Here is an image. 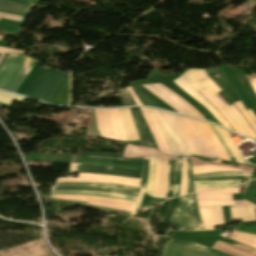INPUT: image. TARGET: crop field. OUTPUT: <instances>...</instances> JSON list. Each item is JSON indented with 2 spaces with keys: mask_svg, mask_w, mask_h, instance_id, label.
I'll list each match as a JSON object with an SVG mask.
<instances>
[{
  "mask_svg": "<svg viewBox=\"0 0 256 256\" xmlns=\"http://www.w3.org/2000/svg\"><path fill=\"white\" fill-rule=\"evenodd\" d=\"M158 112L182 139L190 153L229 160L206 122L159 110Z\"/></svg>",
  "mask_w": 256,
  "mask_h": 256,
  "instance_id": "crop-field-1",
  "label": "crop field"
},
{
  "mask_svg": "<svg viewBox=\"0 0 256 256\" xmlns=\"http://www.w3.org/2000/svg\"><path fill=\"white\" fill-rule=\"evenodd\" d=\"M34 63L23 54H9L0 71V89L14 93Z\"/></svg>",
  "mask_w": 256,
  "mask_h": 256,
  "instance_id": "crop-field-2",
  "label": "crop field"
},
{
  "mask_svg": "<svg viewBox=\"0 0 256 256\" xmlns=\"http://www.w3.org/2000/svg\"><path fill=\"white\" fill-rule=\"evenodd\" d=\"M170 222L179 226L178 230H204L196 204V194L180 197Z\"/></svg>",
  "mask_w": 256,
  "mask_h": 256,
  "instance_id": "crop-field-3",
  "label": "crop field"
},
{
  "mask_svg": "<svg viewBox=\"0 0 256 256\" xmlns=\"http://www.w3.org/2000/svg\"><path fill=\"white\" fill-rule=\"evenodd\" d=\"M161 256H231L219 251H215L201 245L168 240Z\"/></svg>",
  "mask_w": 256,
  "mask_h": 256,
  "instance_id": "crop-field-4",
  "label": "crop field"
},
{
  "mask_svg": "<svg viewBox=\"0 0 256 256\" xmlns=\"http://www.w3.org/2000/svg\"><path fill=\"white\" fill-rule=\"evenodd\" d=\"M74 164H70V172H74ZM75 171L86 172V173H98V174H108L115 176H126L141 178L142 170L131 169V168H117V167H106L100 165H89V164H79L75 165Z\"/></svg>",
  "mask_w": 256,
  "mask_h": 256,
  "instance_id": "crop-field-5",
  "label": "crop field"
},
{
  "mask_svg": "<svg viewBox=\"0 0 256 256\" xmlns=\"http://www.w3.org/2000/svg\"><path fill=\"white\" fill-rule=\"evenodd\" d=\"M55 199L89 202L92 205L111 207L132 211L134 203L117 199H105L97 197L53 195Z\"/></svg>",
  "mask_w": 256,
  "mask_h": 256,
  "instance_id": "crop-field-6",
  "label": "crop field"
},
{
  "mask_svg": "<svg viewBox=\"0 0 256 256\" xmlns=\"http://www.w3.org/2000/svg\"><path fill=\"white\" fill-rule=\"evenodd\" d=\"M70 162L142 168V161H136V160H124V159H112V158H100V157L71 155Z\"/></svg>",
  "mask_w": 256,
  "mask_h": 256,
  "instance_id": "crop-field-7",
  "label": "crop field"
},
{
  "mask_svg": "<svg viewBox=\"0 0 256 256\" xmlns=\"http://www.w3.org/2000/svg\"><path fill=\"white\" fill-rule=\"evenodd\" d=\"M139 135L140 143L143 146L156 147L153 135L140 110V108H130Z\"/></svg>",
  "mask_w": 256,
  "mask_h": 256,
  "instance_id": "crop-field-8",
  "label": "crop field"
},
{
  "mask_svg": "<svg viewBox=\"0 0 256 256\" xmlns=\"http://www.w3.org/2000/svg\"><path fill=\"white\" fill-rule=\"evenodd\" d=\"M173 82L209 110L222 126L231 129L223 117L182 76Z\"/></svg>",
  "mask_w": 256,
  "mask_h": 256,
  "instance_id": "crop-field-9",
  "label": "crop field"
},
{
  "mask_svg": "<svg viewBox=\"0 0 256 256\" xmlns=\"http://www.w3.org/2000/svg\"><path fill=\"white\" fill-rule=\"evenodd\" d=\"M202 223L206 230H214L215 226L225 225L222 207L198 208Z\"/></svg>",
  "mask_w": 256,
  "mask_h": 256,
  "instance_id": "crop-field-10",
  "label": "crop field"
},
{
  "mask_svg": "<svg viewBox=\"0 0 256 256\" xmlns=\"http://www.w3.org/2000/svg\"><path fill=\"white\" fill-rule=\"evenodd\" d=\"M192 166H199V165H215V166H226L234 169H241L242 172L252 173L253 168L247 167H233L231 165H221L217 163H210L204 162L196 159L195 157H191ZM225 167H214V166H200V167H192L193 174L195 173H202V172H210V171H241V170H234Z\"/></svg>",
  "mask_w": 256,
  "mask_h": 256,
  "instance_id": "crop-field-11",
  "label": "crop field"
},
{
  "mask_svg": "<svg viewBox=\"0 0 256 256\" xmlns=\"http://www.w3.org/2000/svg\"><path fill=\"white\" fill-rule=\"evenodd\" d=\"M200 93L213 106H215L220 111V113L224 116V118L232 126V128L235 130V132L247 137V135L244 133V131L241 129V127L237 124V122L233 119V117L230 115V113L227 111V109L218 101V99L210 92V90L208 88L200 91Z\"/></svg>",
  "mask_w": 256,
  "mask_h": 256,
  "instance_id": "crop-field-12",
  "label": "crop field"
},
{
  "mask_svg": "<svg viewBox=\"0 0 256 256\" xmlns=\"http://www.w3.org/2000/svg\"><path fill=\"white\" fill-rule=\"evenodd\" d=\"M212 248L234 256H256V250L242 244L227 245L223 242L217 241Z\"/></svg>",
  "mask_w": 256,
  "mask_h": 256,
  "instance_id": "crop-field-13",
  "label": "crop field"
},
{
  "mask_svg": "<svg viewBox=\"0 0 256 256\" xmlns=\"http://www.w3.org/2000/svg\"><path fill=\"white\" fill-rule=\"evenodd\" d=\"M126 141L138 140L129 108L118 109Z\"/></svg>",
  "mask_w": 256,
  "mask_h": 256,
  "instance_id": "crop-field-14",
  "label": "crop field"
},
{
  "mask_svg": "<svg viewBox=\"0 0 256 256\" xmlns=\"http://www.w3.org/2000/svg\"><path fill=\"white\" fill-rule=\"evenodd\" d=\"M244 201L250 205L230 207L232 219H242V221L256 220V205L246 200Z\"/></svg>",
  "mask_w": 256,
  "mask_h": 256,
  "instance_id": "crop-field-15",
  "label": "crop field"
},
{
  "mask_svg": "<svg viewBox=\"0 0 256 256\" xmlns=\"http://www.w3.org/2000/svg\"><path fill=\"white\" fill-rule=\"evenodd\" d=\"M52 190H53V187H52ZM54 190H91V191L119 193V194L134 195V196H137V194H138L135 192H129V191H123V190L106 189V188H91V187H57V188H54ZM143 194H144V192L142 190H140L136 203L140 204ZM138 207H139V205L135 204L133 210L138 209ZM137 211L138 210L133 211V213H136Z\"/></svg>",
  "mask_w": 256,
  "mask_h": 256,
  "instance_id": "crop-field-16",
  "label": "crop field"
},
{
  "mask_svg": "<svg viewBox=\"0 0 256 256\" xmlns=\"http://www.w3.org/2000/svg\"><path fill=\"white\" fill-rule=\"evenodd\" d=\"M52 194L90 195V196L105 197V198H117L122 200L133 201V202H135L137 198L134 196L108 194V193H101V192H90V191H52Z\"/></svg>",
  "mask_w": 256,
  "mask_h": 256,
  "instance_id": "crop-field-17",
  "label": "crop field"
},
{
  "mask_svg": "<svg viewBox=\"0 0 256 256\" xmlns=\"http://www.w3.org/2000/svg\"><path fill=\"white\" fill-rule=\"evenodd\" d=\"M147 111L149 112V114L151 115L154 123L156 124V126L158 127L171 155L173 156H180V152L178 151L176 145L174 144V142L172 141L171 137L169 136V134L167 133L166 129L164 128V126L158 121V119L156 118V116L153 114V112L151 111V109L146 108Z\"/></svg>",
  "mask_w": 256,
  "mask_h": 256,
  "instance_id": "crop-field-18",
  "label": "crop field"
},
{
  "mask_svg": "<svg viewBox=\"0 0 256 256\" xmlns=\"http://www.w3.org/2000/svg\"><path fill=\"white\" fill-rule=\"evenodd\" d=\"M197 91L206 88L199 80L207 78L208 75L204 70H188L182 75Z\"/></svg>",
  "mask_w": 256,
  "mask_h": 256,
  "instance_id": "crop-field-19",
  "label": "crop field"
},
{
  "mask_svg": "<svg viewBox=\"0 0 256 256\" xmlns=\"http://www.w3.org/2000/svg\"><path fill=\"white\" fill-rule=\"evenodd\" d=\"M159 151L152 148H145V147H137L133 145L127 146L124 156H133V157H146V156H157L160 155Z\"/></svg>",
  "mask_w": 256,
  "mask_h": 256,
  "instance_id": "crop-field-20",
  "label": "crop field"
},
{
  "mask_svg": "<svg viewBox=\"0 0 256 256\" xmlns=\"http://www.w3.org/2000/svg\"><path fill=\"white\" fill-rule=\"evenodd\" d=\"M57 182H104L112 184H123L139 188V183L124 182L111 179H94V178H58Z\"/></svg>",
  "mask_w": 256,
  "mask_h": 256,
  "instance_id": "crop-field-21",
  "label": "crop field"
},
{
  "mask_svg": "<svg viewBox=\"0 0 256 256\" xmlns=\"http://www.w3.org/2000/svg\"><path fill=\"white\" fill-rule=\"evenodd\" d=\"M218 130V132L220 133V135L222 136V138L224 139L226 145L228 146L229 150L231 151L232 155L234 156L236 162H239V163H244L237 147L234 145L228 131L222 129V128H219L217 126H215Z\"/></svg>",
  "mask_w": 256,
  "mask_h": 256,
  "instance_id": "crop-field-22",
  "label": "crop field"
},
{
  "mask_svg": "<svg viewBox=\"0 0 256 256\" xmlns=\"http://www.w3.org/2000/svg\"><path fill=\"white\" fill-rule=\"evenodd\" d=\"M176 169V158L168 156V183L166 197H172L174 191V179Z\"/></svg>",
  "mask_w": 256,
  "mask_h": 256,
  "instance_id": "crop-field-23",
  "label": "crop field"
},
{
  "mask_svg": "<svg viewBox=\"0 0 256 256\" xmlns=\"http://www.w3.org/2000/svg\"><path fill=\"white\" fill-rule=\"evenodd\" d=\"M55 186H92V187H107V188H116V189H123L129 191L138 192V188H132L122 185H112V184H90V183H55Z\"/></svg>",
  "mask_w": 256,
  "mask_h": 256,
  "instance_id": "crop-field-24",
  "label": "crop field"
},
{
  "mask_svg": "<svg viewBox=\"0 0 256 256\" xmlns=\"http://www.w3.org/2000/svg\"><path fill=\"white\" fill-rule=\"evenodd\" d=\"M153 111L156 113V115L159 117V119L164 124L165 128L170 133L171 137L173 138L175 144L177 145V147H178L179 151L182 153V155H184V156H191V154L189 153L187 147L182 143V141L177 137V135L171 130V128L165 123V121L158 114V112L156 110H154V109H153Z\"/></svg>",
  "mask_w": 256,
  "mask_h": 256,
  "instance_id": "crop-field-25",
  "label": "crop field"
},
{
  "mask_svg": "<svg viewBox=\"0 0 256 256\" xmlns=\"http://www.w3.org/2000/svg\"><path fill=\"white\" fill-rule=\"evenodd\" d=\"M238 181L226 182H194L195 188H226L237 184Z\"/></svg>",
  "mask_w": 256,
  "mask_h": 256,
  "instance_id": "crop-field-26",
  "label": "crop field"
},
{
  "mask_svg": "<svg viewBox=\"0 0 256 256\" xmlns=\"http://www.w3.org/2000/svg\"><path fill=\"white\" fill-rule=\"evenodd\" d=\"M166 183H167V159L166 155L162 154V177L159 190V197H165L166 192Z\"/></svg>",
  "mask_w": 256,
  "mask_h": 256,
  "instance_id": "crop-field-27",
  "label": "crop field"
},
{
  "mask_svg": "<svg viewBox=\"0 0 256 256\" xmlns=\"http://www.w3.org/2000/svg\"><path fill=\"white\" fill-rule=\"evenodd\" d=\"M154 173H155V157H150L149 176H148V181L145 189V192L149 193L150 195H152V192H153Z\"/></svg>",
  "mask_w": 256,
  "mask_h": 256,
  "instance_id": "crop-field-28",
  "label": "crop field"
},
{
  "mask_svg": "<svg viewBox=\"0 0 256 256\" xmlns=\"http://www.w3.org/2000/svg\"><path fill=\"white\" fill-rule=\"evenodd\" d=\"M202 82L218 97V99L223 103V105L229 110V112L234 116V118L238 121V123L241 125V127L243 128V130L246 132V134L248 135L249 138L253 139V137L251 136V134L249 133V131L247 130V128L244 126V124L242 123V121L239 119V117L233 112V110L225 103V101L220 97V95L218 93H216L212 87L205 81L202 80ZM254 140V139H253Z\"/></svg>",
  "mask_w": 256,
  "mask_h": 256,
  "instance_id": "crop-field-29",
  "label": "crop field"
},
{
  "mask_svg": "<svg viewBox=\"0 0 256 256\" xmlns=\"http://www.w3.org/2000/svg\"><path fill=\"white\" fill-rule=\"evenodd\" d=\"M241 201H197L198 207L237 205Z\"/></svg>",
  "mask_w": 256,
  "mask_h": 256,
  "instance_id": "crop-field-30",
  "label": "crop field"
},
{
  "mask_svg": "<svg viewBox=\"0 0 256 256\" xmlns=\"http://www.w3.org/2000/svg\"><path fill=\"white\" fill-rule=\"evenodd\" d=\"M251 177H237V176H212L193 179L194 181H226V180H236V179H250Z\"/></svg>",
  "mask_w": 256,
  "mask_h": 256,
  "instance_id": "crop-field-31",
  "label": "crop field"
},
{
  "mask_svg": "<svg viewBox=\"0 0 256 256\" xmlns=\"http://www.w3.org/2000/svg\"><path fill=\"white\" fill-rule=\"evenodd\" d=\"M187 190V176H186V157H182V178L180 196L185 195Z\"/></svg>",
  "mask_w": 256,
  "mask_h": 256,
  "instance_id": "crop-field-32",
  "label": "crop field"
},
{
  "mask_svg": "<svg viewBox=\"0 0 256 256\" xmlns=\"http://www.w3.org/2000/svg\"><path fill=\"white\" fill-rule=\"evenodd\" d=\"M160 171H161V155L156 157V175H155V186L153 196L158 195L159 183H160Z\"/></svg>",
  "mask_w": 256,
  "mask_h": 256,
  "instance_id": "crop-field-33",
  "label": "crop field"
},
{
  "mask_svg": "<svg viewBox=\"0 0 256 256\" xmlns=\"http://www.w3.org/2000/svg\"><path fill=\"white\" fill-rule=\"evenodd\" d=\"M197 200H232V194H228V195H197Z\"/></svg>",
  "mask_w": 256,
  "mask_h": 256,
  "instance_id": "crop-field-34",
  "label": "crop field"
},
{
  "mask_svg": "<svg viewBox=\"0 0 256 256\" xmlns=\"http://www.w3.org/2000/svg\"><path fill=\"white\" fill-rule=\"evenodd\" d=\"M158 86H160L161 88H163L165 91H167L168 93H170L172 96H174L176 99H178L180 102H182L183 104H185L192 112H194L199 118L204 119L199 112L193 107L191 106L188 102L184 101L183 99H181L179 96H177L175 93H173L171 90H169L168 88H166L165 86L161 85V84H157Z\"/></svg>",
  "mask_w": 256,
  "mask_h": 256,
  "instance_id": "crop-field-35",
  "label": "crop field"
},
{
  "mask_svg": "<svg viewBox=\"0 0 256 256\" xmlns=\"http://www.w3.org/2000/svg\"><path fill=\"white\" fill-rule=\"evenodd\" d=\"M78 177L112 178V179H121V180L137 181V182L140 181L134 178L114 177V176H108V175L84 174V173H78Z\"/></svg>",
  "mask_w": 256,
  "mask_h": 256,
  "instance_id": "crop-field-36",
  "label": "crop field"
},
{
  "mask_svg": "<svg viewBox=\"0 0 256 256\" xmlns=\"http://www.w3.org/2000/svg\"><path fill=\"white\" fill-rule=\"evenodd\" d=\"M180 176H181V157L177 158V170H176V179H175V192H174V196L173 197H176L179 194Z\"/></svg>",
  "mask_w": 256,
  "mask_h": 256,
  "instance_id": "crop-field-37",
  "label": "crop field"
},
{
  "mask_svg": "<svg viewBox=\"0 0 256 256\" xmlns=\"http://www.w3.org/2000/svg\"><path fill=\"white\" fill-rule=\"evenodd\" d=\"M13 99L20 101L23 98L19 97V96H16L14 94H10V93L0 91V102L11 104Z\"/></svg>",
  "mask_w": 256,
  "mask_h": 256,
  "instance_id": "crop-field-38",
  "label": "crop field"
},
{
  "mask_svg": "<svg viewBox=\"0 0 256 256\" xmlns=\"http://www.w3.org/2000/svg\"><path fill=\"white\" fill-rule=\"evenodd\" d=\"M210 175H238V176H250V174H244L240 172H210V173H202V174H195L193 175L194 178L196 177H204Z\"/></svg>",
  "mask_w": 256,
  "mask_h": 256,
  "instance_id": "crop-field-39",
  "label": "crop field"
},
{
  "mask_svg": "<svg viewBox=\"0 0 256 256\" xmlns=\"http://www.w3.org/2000/svg\"><path fill=\"white\" fill-rule=\"evenodd\" d=\"M187 169H188V191L187 194L194 192V185L192 180V171H191V163L190 157H187Z\"/></svg>",
  "mask_w": 256,
  "mask_h": 256,
  "instance_id": "crop-field-40",
  "label": "crop field"
},
{
  "mask_svg": "<svg viewBox=\"0 0 256 256\" xmlns=\"http://www.w3.org/2000/svg\"><path fill=\"white\" fill-rule=\"evenodd\" d=\"M254 226H256V224H254ZM254 226L240 224L236 228H234V230L256 234V227H254Z\"/></svg>",
  "mask_w": 256,
  "mask_h": 256,
  "instance_id": "crop-field-41",
  "label": "crop field"
},
{
  "mask_svg": "<svg viewBox=\"0 0 256 256\" xmlns=\"http://www.w3.org/2000/svg\"><path fill=\"white\" fill-rule=\"evenodd\" d=\"M123 99H124V102H125V105H136L134 100L131 98L130 94L128 93L127 89H121L119 90Z\"/></svg>",
  "mask_w": 256,
  "mask_h": 256,
  "instance_id": "crop-field-42",
  "label": "crop field"
},
{
  "mask_svg": "<svg viewBox=\"0 0 256 256\" xmlns=\"http://www.w3.org/2000/svg\"><path fill=\"white\" fill-rule=\"evenodd\" d=\"M240 188H227L218 191H212L207 193H200V194H227V193H239Z\"/></svg>",
  "mask_w": 256,
  "mask_h": 256,
  "instance_id": "crop-field-43",
  "label": "crop field"
},
{
  "mask_svg": "<svg viewBox=\"0 0 256 256\" xmlns=\"http://www.w3.org/2000/svg\"><path fill=\"white\" fill-rule=\"evenodd\" d=\"M147 158H149V157H147ZM148 161H149V159H144L143 178H142V183H141V187L143 190L145 189L147 176H148Z\"/></svg>",
  "mask_w": 256,
  "mask_h": 256,
  "instance_id": "crop-field-44",
  "label": "crop field"
},
{
  "mask_svg": "<svg viewBox=\"0 0 256 256\" xmlns=\"http://www.w3.org/2000/svg\"><path fill=\"white\" fill-rule=\"evenodd\" d=\"M151 88H153L154 90H156L158 93H160L163 97H165L168 101H170L171 103H173L175 106H177L181 111H183L186 115L192 116L190 115L185 109H183L178 103H176L175 101H173L171 98H169L167 95H165L163 92L159 91L158 89H156L155 87L149 85Z\"/></svg>",
  "mask_w": 256,
  "mask_h": 256,
  "instance_id": "crop-field-45",
  "label": "crop field"
},
{
  "mask_svg": "<svg viewBox=\"0 0 256 256\" xmlns=\"http://www.w3.org/2000/svg\"><path fill=\"white\" fill-rule=\"evenodd\" d=\"M207 124L210 126V128L212 129V131L215 133V135L217 136V138L220 140V142H221V144L223 145L224 149L226 150L228 156L230 157L231 154H230V152H229L227 146L225 145L223 139L219 136V134L217 133V131L215 130V128L213 127V125H211V124H209V123H207Z\"/></svg>",
  "mask_w": 256,
  "mask_h": 256,
  "instance_id": "crop-field-46",
  "label": "crop field"
},
{
  "mask_svg": "<svg viewBox=\"0 0 256 256\" xmlns=\"http://www.w3.org/2000/svg\"><path fill=\"white\" fill-rule=\"evenodd\" d=\"M230 239H233V240L238 241L242 244H246V245H249V246H252V247L256 248V243H253V242H250V241H247V240H244V239L232 236V235L230 236Z\"/></svg>",
  "mask_w": 256,
  "mask_h": 256,
  "instance_id": "crop-field-47",
  "label": "crop field"
},
{
  "mask_svg": "<svg viewBox=\"0 0 256 256\" xmlns=\"http://www.w3.org/2000/svg\"><path fill=\"white\" fill-rule=\"evenodd\" d=\"M0 53H2L1 56H0V60H1L5 53H23V50L0 48Z\"/></svg>",
  "mask_w": 256,
  "mask_h": 256,
  "instance_id": "crop-field-48",
  "label": "crop field"
},
{
  "mask_svg": "<svg viewBox=\"0 0 256 256\" xmlns=\"http://www.w3.org/2000/svg\"><path fill=\"white\" fill-rule=\"evenodd\" d=\"M150 199H151V196H149V195H147V194H144V197H143V199H142L140 208L145 207V206H148V205H149V202H150ZM140 208H139V209H140Z\"/></svg>",
  "mask_w": 256,
  "mask_h": 256,
  "instance_id": "crop-field-49",
  "label": "crop field"
},
{
  "mask_svg": "<svg viewBox=\"0 0 256 256\" xmlns=\"http://www.w3.org/2000/svg\"><path fill=\"white\" fill-rule=\"evenodd\" d=\"M153 86H155L156 88H158L159 90L163 91L164 93H166L167 95H169L171 98H173L175 101H177L181 106H183L184 108H186L194 117H197L196 115H194L185 105H183L182 103H180L178 100H176L174 97H172L170 94H168L167 92H165L164 90H162L160 87H158L155 84H152ZM198 118V117H197Z\"/></svg>",
  "mask_w": 256,
  "mask_h": 256,
  "instance_id": "crop-field-50",
  "label": "crop field"
},
{
  "mask_svg": "<svg viewBox=\"0 0 256 256\" xmlns=\"http://www.w3.org/2000/svg\"><path fill=\"white\" fill-rule=\"evenodd\" d=\"M250 85L252 86L253 90L256 93V78L249 80Z\"/></svg>",
  "mask_w": 256,
  "mask_h": 256,
  "instance_id": "crop-field-51",
  "label": "crop field"
},
{
  "mask_svg": "<svg viewBox=\"0 0 256 256\" xmlns=\"http://www.w3.org/2000/svg\"><path fill=\"white\" fill-rule=\"evenodd\" d=\"M232 235H235V236H238V237H241V238H244V239H247V240H250V241L256 242V239H253V238L244 237V236L236 235V234H233V233H232Z\"/></svg>",
  "mask_w": 256,
  "mask_h": 256,
  "instance_id": "crop-field-52",
  "label": "crop field"
},
{
  "mask_svg": "<svg viewBox=\"0 0 256 256\" xmlns=\"http://www.w3.org/2000/svg\"><path fill=\"white\" fill-rule=\"evenodd\" d=\"M234 233H239V234H243V235H246V236H249V237H253V238H256L255 235H251V234H246V233H242V232H236V231H233Z\"/></svg>",
  "mask_w": 256,
  "mask_h": 256,
  "instance_id": "crop-field-53",
  "label": "crop field"
},
{
  "mask_svg": "<svg viewBox=\"0 0 256 256\" xmlns=\"http://www.w3.org/2000/svg\"><path fill=\"white\" fill-rule=\"evenodd\" d=\"M209 190H215V189H195V192H199V191H209Z\"/></svg>",
  "mask_w": 256,
  "mask_h": 256,
  "instance_id": "crop-field-54",
  "label": "crop field"
},
{
  "mask_svg": "<svg viewBox=\"0 0 256 256\" xmlns=\"http://www.w3.org/2000/svg\"><path fill=\"white\" fill-rule=\"evenodd\" d=\"M250 115L252 116L253 120L256 122V117L253 115V113L251 112V110H249Z\"/></svg>",
  "mask_w": 256,
  "mask_h": 256,
  "instance_id": "crop-field-55",
  "label": "crop field"
},
{
  "mask_svg": "<svg viewBox=\"0 0 256 256\" xmlns=\"http://www.w3.org/2000/svg\"><path fill=\"white\" fill-rule=\"evenodd\" d=\"M230 159L232 161L233 166H237V164H236L235 160L233 159V157H231Z\"/></svg>",
  "mask_w": 256,
  "mask_h": 256,
  "instance_id": "crop-field-56",
  "label": "crop field"
},
{
  "mask_svg": "<svg viewBox=\"0 0 256 256\" xmlns=\"http://www.w3.org/2000/svg\"><path fill=\"white\" fill-rule=\"evenodd\" d=\"M239 205H246V203L243 201L242 203H240Z\"/></svg>",
  "mask_w": 256,
  "mask_h": 256,
  "instance_id": "crop-field-57",
  "label": "crop field"
},
{
  "mask_svg": "<svg viewBox=\"0 0 256 256\" xmlns=\"http://www.w3.org/2000/svg\"><path fill=\"white\" fill-rule=\"evenodd\" d=\"M3 39V36H0V40H2Z\"/></svg>",
  "mask_w": 256,
  "mask_h": 256,
  "instance_id": "crop-field-58",
  "label": "crop field"
}]
</instances>
